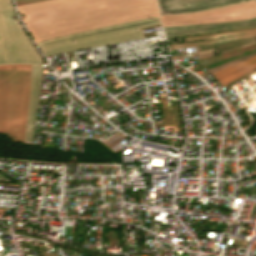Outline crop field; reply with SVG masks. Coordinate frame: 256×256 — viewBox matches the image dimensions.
Listing matches in <instances>:
<instances>
[{"mask_svg": "<svg viewBox=\"0 0 256 256\" xmlns=\"http://www.w3.org/2000/svg\"><path fill=\"white\" fill-rule=\"evenodd\" d=\"M143 38L139 29L97 36L92 38L81 39L77 41L60 44L56 46L46 47L40 49L45 56L57 54L65 51H75L85 49L93 46L105 45L110 43L134 40Z\"/></svg>", "mask_w": 256, "mask_h": 256, "instance_id": "f4fd0767", "label": "crop field"}, {"mask_svg": "<svg viewBox=\"0 0 256 256\" xmlns=\"http://www.w3.org/2000/svg\"><path fill=\"white\" fill-rule=\"evenodd\" d=\"M31 65L0 66V132L23 142Z\"/></svg>", "mask_w": 256, "mask_h": 256, "instance_id": "34b2d1b8", "label": "crop field"}, {"mask_svg": "<svg viewBox=\"0 0 256 256\" xmlns=\"http://www.w3.org/2000/svg\"><path fill=\"white\" fill-rule=\"evenodd\" d=\"M17 8L35 42L158 16L155 0H51Z\"/></svg>", "mask_w": 256, "mask_h": 256, "instance_id": "8a807250", "label": "crop field"}, {"mask_svg": "<svg viewBox=\"0 0 256 256\" xmlns=\"http://www.w3.org/2000/svg\"><path fill=\"white\" fill-rule=\"evenodd\" d=\"M42 79V66L32 65L24 142L32 144L33 129Z\"/></svg>", "mask_w": 256, "mask_h": 256, "instance_id": "e52e79f7", "label": "crop field"}, {"mask_svg": "<svg viewBox=\"0 0 256 256\" xmlns=\"http://www.w3.org/2000/svg\"><path fill=\"white\" fill-rule=\"evenodd\" d=\"M256 2V1H255ZM253 0H158L165 36L256 25Z\"/></svg>", "mask_w": 256, "mask_h": 256, "instance_id": "ac0d7876", "label": "crop field"}, {"mask_svg": "<svg viewBox=\"0 0 256 256\" xmlns=\"http://www.w3.org/2000/svg\"><path fill=\"white\" fill-rule=\"evenodd\" d=\"M239 34H245V35L233 36V37H227V38H221V39L209 40V41L186 43V42H191V41L206 40V39L231 36V35H239ZM254 35H256V28L255 29H247V30L231 31V32H225V33H219V34H209V35H202V36L187 37V38H184L185 43L172 45V46H169V48L170 49H178V48H185V47L202 45V44H215V43H219V42L230 40V39H238V38L254 36Z\"/></svg>", "mask_w": 256, "mask_h": 256, "instance_id": "d8731c3e", "label": "crop field"}, {"mask_svg": "<svg viewBox=\"0 0 256 256\" xmlns=\"http://www.w3.org/2000/svg\"><path fill=\"white\" fill-rule=\"evenodd\" d=\"M158 24H160L159 18L156 17V18H151L149 20L145 19V20L133 21L128 23L117 24V25L102 27L98 29L78 32L70 35H65V36L37 42V45L39 46V48H42V47L65 43V42H69V41H73L81 38L92 37L97 35H103V34L114 33V32L152 26V25H158Z\"/></svg>", "mask_w": 256, "mask_h": 256, "instance_id": "dd49c442", "label": "crop field"}, {"mask_svg": "<svg viewBox=\"0 0 256 256\" xmlns=\"http://www.w3.org/2000/svg\"><path fill=\"white\" fill-rule=\"evenodd\" d=\"M256 68V56L237 63L231 67L223 69L221 71L211 73V75L222 85H226L238 77L246 74L247 72Z\"/></svg>", "mask_w": 256, "mask_h": 256, "instance_id": "5a996713", "label": "crop field"}, {"mask_svg": "<svg viewBox=\"0 0 256 256\" xmlns=\"http://www.w3.org/2000/svg\"><path fill=\"white\" fill-rule=\"evenodd\" d=\"M9 0H0V65L7 63L42 64L17 21L11 19Z\"/></svg>", "mask_w": 256, "mask_h": 256, "instance_id": "412701ff", "label": "crop field"}, {"mask_svg": "<svg viewBox=\"0 0 256 256\" xmlns=\"http://www.w3.org/2000/svg\"><path fill=\"white\" fill-rule=\"evenodd\" d=\"M40 1H46V0H18L15 2H16V5L19 6V5L30 4V3L40 2Z\"/></svg>", "mask_w": 256, "mask_h": 256, "instance_id": "3316defc", "label": "crop field"}]
</instances>
